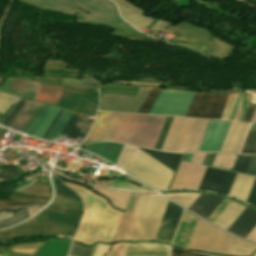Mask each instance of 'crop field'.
<instances>
[{
	"mask_svg": "<svg viewBox=\"0 0 256 256\" xmlns=\"http://www.w3.org/2000/svg\"><path fill=\"white\" fill-rule=\"evenodd\" d=\"M249 125L232 122L220 151L238 153Z\"/></svg>",
	"mask_w": 256,
	"mask_h": 256,
	"instance_id": "obj_14",
	"label": "crop field"
},
{
	"mask_svg": "<svg viewBox=\"0 0 256 256\" xmlns=\"http://www.w3.org/2000/svg\"><path fill=\"white\" fill-rule=\"evenodd\" d=\"M250 130H255L256 131V125L252 124Z\"/></svg>",
	"mask_w": 256,
	"mask_h": 256,
	"instance_id": "obj_61",
	"label": "crop field"
},
{
	"mask_svg": "<svg viewBox=\"0 0 256 256\" xmlns=\"http://www.w3.org/2000/svg\"><path fill=\"white\" fill-rule=\"evenodd\" d=\"M75 189L85 202V212L74 239L86 244L112 242L122 217V212L111 209L107 201L76 184L63 182Z\"/></svg>",
	"mask_w": 256,
	"mask_h": 256,
	"instance_id": "obj_2",
	"label": "crop field"
},
{
	"mask_svg": "<svg viewBox=\"0 0 256 256\" xmlns=\"http://www.w3.org/2000/svg\"><path fill=\"white\" fill-rule=\"evenodd\" d=\"M38 105V102L27 100L19 114L12 122L10 128L22 132Z\"/></svg>",
	"mask_w": 256,
	"mask_h": 256,
	"instance_id": "obj_20",
	"label": "crop field"
},
{
	"mask_svg": "<svg viewBox=\"0 0 256 256\" xmlns=\"http://www.w3.org/2000/svg\"><path fill=\"white\" fill-rule=\"evenodd\" d=\"M141 149V148H140ZM144 152L148 153L164 165L168 166L172 170H175L178 161L182 154H174V153H168V152H161V151H154V150H148V149H141Z\"/></svg>",
	"mask_w": 256,
	"mask_h": 256,
	"instance_id": "obj_22",
	"label": "crop field"
},
{
	"mask_svg": "<svg viewBox=\"0 0 256 256\" xmlns=\"http://www.w3.org/2000/svg\"><path fill=\"white\" fill-rule=\"evenodd\" d=\"M246 202L256 207V179Z\"/></svg>",
	"mask_w": 256,
	"mask_h": 256,
	"instance_id": "obj_44",
	"label": "crop field"
},
{
	"mask_svg": "<svg viewBox=\"0 0 256 256\" xmlns=\"http://www.w3.org/2000/svg\"><path fill=\"white\" fill-rule=\"evenodd\" d=\"M228 95L195 93L184 116L220 119Z\"/></svg>",
	"mask_w": 256,
	"mask_h": 256,
	"instance_id": "obj_5",
	"label": "crop field"
},
{
	"mask_svg": "<svg viewBox=\"0 0 256 256\" xmlns=\"http://www.w3.org/2000/svg\"><path fill=\"white\" fill-rule=\"evenodd\" d=\"M186 155H187V154H184V156H183V159H182V160H185Z\"/></svg>",
	"mask_w": 256,
	"mask_h": 256,
	"instance_id": "obj_63",
	"label": "crop field"
},
{
	"mask_svg": "<svg viewBox=\"0 0 256 256\" xmlns=\"http://www.w3.org/2000/svg\"><path fill=\"white\" fill-rule=\"evenodd\" d=\"M224 172L208 167L198 189L216 192Z\"/></svg>",
	"mask_w": 256,
	"mask_h": 256,
	"instance_id": "obj_19",
	"label": "crop field"
},
{
	"mask_svg": "<svg viewBox=\"0 0 256 256\" xmlns=\"http://www.w3.org/2000/svg\"><path fill=\"white\" fill-rule=\"evenodd\" d=\"M167 22H164V21H161V20H158L155 24H154V26L151 28V30H155L156 28H158V29H163L164 27H166L167 26Z\"/></svg>",
	"mask_w": 256,
	"mask_h": 256,
	"instance_id": "obj_51",
	"label": "crop field"
},
{
	"mask_svg": "<svg viewBox=\"0 0 256 256\" xmlns=\"http://www.w3.org/2000/svg\"><path fill=\"white\" fill-rule=\"evenodd\" d=\"M21 174L22 173L16 167L0 170V180L12 179Z\"/></svg>",
	"mask_w": 256,
	"mask_h": 256,
	"instance_id": "obj_42",
	"label": "crop field"
},
{
	"mask_svg": "<svg viewBox=\"0 0 256 256\" xmlns=\"http://www.w3.org/2000/svg\"><path fill=\"white\" fill-rule=\"evenodd\" d=\"M246 239L256 243V227L253 229V231L248 235Z\"/></svg>",
	"mask_w": 256,
	"mask_h": 256,
	"instance_id": "obj_53",
	"label": "crop field"
},
{
	"mask_svg": "<svg viewBox=\"0 0 256 256\" xmlns=\"http://www.w3.org/2000/svg\"><path fill=\"white\" fill-rule=\"evenodd\" d=\"M209 155H210V154H207V155H206V157H205V159H204V161H203V163H202V164H204V165L206 164V162H207V159H208Z\"/></svg>",
	"mask_w": 256,
	"mask_h": 256,
	"instance_id": "obj_60",
	"label": "crop field"
},
{
	"mask_svg": "<svg viewBox=\"0 0 256 256\" xmlns=\"http://www.w3.org/2000/svg\"><path fill=\"white\" fill-rule=\"evenodd\" d=\"M193 154H188L185 161L190 162Z\"/></svg>",
	"mask_w": 256,
	"mask_h": 256,
	"instance_id": "obj_59",
	"label": "crop field"
},
{
	"mask_svg": "<svg viewBox=\"0 0 256 256\" xmlns=\"http://www.w3.org/2000/svg\"><path fill=\"white\" fill-rule=\"evenodd\" d=\"M80 216L75 202L55 197L54 202L31 220L0 231V240L38 236H70Z\"/></svg>",
	"mask_w": 256,
	"mask_h": 256,
	"instance_id": "obj_1",
	"label": "crop field"
},
{
	"mask_svg": "<svg viewBox=\"0 0 256 256\" xmlns=\"http://www.w3.org/2000/svg\"><path fill=\"white\" fill-rule=\"evenodd\" d=\"M79 116H80V113L77 114L74 112V114L72 115L71 119L69 120V122L67 123L66 127L64 128L61 134L67 135V133L69 132V130L71 129L73 124L76 122Z\"/></svg>",
	"mask_w": 256,
	"mask_h": 256,
	"instance_id": "obj_45",
	"label": "crop field"
},
{
	"mask_svg": "<svg viewBox=\"0 0 256 256\" xmlns=\"http://www.w3.org/2000/svg\"><path fill=\"white\" fill-rule=\"evenodd\" d=\"M215 155H216V154H211V155H210L209 160H208V162H207L206 165H209V166L212 165Z\"/></svg>",
	"mask_w": 256,
	"mask_h": 256,
	"instance_id": "obj_58",
	"label": "crop field"
},
{
	"mask_svg": "<svg viewBox=\"0 0 256 256\" xmlns=\"http://www.w3.org/2000/svg\"><path fill=\"white\" fill-rule=\"evenodd\" d=\"M111 187H115V188H125V189H135V190H145V189H142L140 187H137L133 184H130V183H126V182H122L120 181L119 184H115L113 183ZM147 191V190H146Z\"/></svg>",
	"mask_w": 256,
	"mask_h": 256,
	"instance_id": "obj_43",
	"label": "crop field"
},
{
	"mask_svg": "<svg viewBox=\"0 0 256 256\" xmlns=\"http://www.w3.org/2000/svg\"><path fill=\"white\" fill-rule=\"evenodd\" d=\"M17 192H23V193H29V194H35V195H41V196H47V197L50 196V189L38 179H36L35 182L31 184L29 187L19 190Z\"/></svg>",
	"mask_w": 256,
	"mask_h": 256,
	"instance_id": "obj_28",
	"label": "crop field"
},
{
	"mask_svg": "<svg viewBox=\"0 0 256 256\" xmlns=\"http://www.w3.org/2000/svg\"><path fill=\"white\" fill-rule=\"evenodd\" d=\"M255 226L256 212L246 208L227 231L245 239Z\"/></svg>",
	"mask_w": 256,
	"mask_h": 256,
	"instance_id": "obj_15",
	"label": "crop field"
},
{
	"mask_svg": "<svg viewBox=\"0 0 256 256\" xmlns=\"http://www.w3.org/2000/svg\"><path fill=\"white\" fill-rule=\"evenodd\" d=\"M173 200H175L180 205L190 208L191 205L197 200L200 196L199 194H164Z\"/></svg>",
	"mask_w": 256,
	"mask_h": 256,
	"instance_id": "obj_29",
	"label": "crop field"
},
{
	"mask_svg": "<svg viewBox=\"0 0 256 256\" xmlns=\"http://www.w3.org/2000/svg\"><path fill=\"white\" fill-rule=\"evenodd\" d=\"M209 121L191 119L177 152L197 151Z\"/></svg>",
	"mask_w": 256,
	"mask_h": 256,
	"instance_id": "obj_9",
	"label": "crop field"
},
{
	"mask_svg": "<svg viewBox=\"0 0 256 256\" xmlns=\"http://www.w3.org/2000/svg\"><path fill=\"white\" fill-rule=\"evenodd\" d=\"M166 117L111 112L100 140L153 148Z\"/></svg>",
	"mask_w": 256,
	"mask_h": 256,
	"instance_id": "obj_3",
	"label": "crop field"
},
{
	"mask_svg": "<svg viewBox=\"0 0 256 256\" xmlns=\"http://www.w3.org/2000/svg\"><path fill=\"white\" fill-rule=\"evenodd\" d=\"M36 250H13V252L17 253H25V254H33Z\"/></svg>",
	"mask_w": 256,
	"mask_h": 256,
	"instance_id": "obj_56",
	"label": "crop field"
},
{
	"mask_svg": "<svg viewBox=\"0 0 256 256\" xmlns=\"http://www.w3.org/2000/svg\"><path fill=\"white\" fill-rule=\"evenodd\" d=\"M250 98H251V97H249V96H246V98H245V102H244V106H243L244 114H245V111H246V109H247V107H248V105H249ZM244 114H243V116H244ZM243 116H242V118H243ZM242 118H241V120H242ZM241 120H240V121H241ZM242 121H243V120H242Z\"/></svg>",
	"mask_w": 256,
	"mask_h": 256,
	"instance_id": "obj_55",
	"label": "crop field"
},
{
	"mask_svg": "<svg viewBox=\"0 0 256 256\" xmlns=\"http://www.w3.org/2000/svg\"><path fill=\"white\" fill-rule=\"evenodd\" d=\"M110 112H100L97 121L86 141L99 139Z\"/></svg>",
	"mask_w": 256,
	"mask_h": 256,
	"instance_id": "obj_27",
	"label": "crop field"
},
{
	"mask_svg": "<svg viewBox=\"0 0 256 256\" xmlns=\"http://www.w3.org/2000/svg\"><path fill=\"white\" fill-rule=\"evenodd\" d=\"M0 251H1V256H32V255L11 253L12 251L11 249L4 248V247H0Z\"/></svg>",
	"mask_w": 256,
	"mask_h": 256,
	"instance_id": "obj_49",
	"label": "crop field"
},
{
	"mask_svg": "<svg viewBox=\"0 0 256 256\" xmlns=\"http://www.w3.org/2000/svg\"><path fill=\"white\" fill-rule=\"evenodd\" d=\"M109 197L114 206L124 209L130 194L115 193L109 191L97 190Z\"/></svg>",
	"mask_w": 256,
	"mask_h": 256,
	"instance_id": "obj_30",
	"label": "crop field"
},
{
	"mask_svg": "<svg viewBox=\"0 0 256 256\" xmlns=\"http://www.w3.org/2000/svg\"><path fill=\"white\" fill-rule=\"evenodd\" d=\"M233 236L197 219L187 249L227 255Z\"/></svg>",
	"mask_w": 256,
	"mask_h": 256,
	"instance_id": "obj_4",
	"label": "crop field"
},
{
	"mask_svg": "<svg viewBox=\"0 0 256 256\" xmlns=\"http://www.w3.org/2000/svg\"><path fill=\"white\" fill-rule=\"evenodd\" d=\"M58 111H59V108L52 106V108L48 112L47 116L45 117V119L43 120L41 125L39 126L38 130L34 134L35 137L42 138V136L44 135L45 131L49 127L50 123L52 122V120L54 119V117L56 116Z\"/></svg>",
	"mask_w": 256,
	"mask_h": 256,
	"instance_id": "obj_32",
	"label": "crop field"
},
{
	"mask_svg": "<svg viewBox=\"0 0 256 256\" xmlns=\"http://www.w3.org/2000/svg\"><path fill=\"white\" fill-rule=\"evenodd\" d=\"M172 256H202V255L186 252L173 247Z\"/></svg>",
	"mask_w": 256,
	"mask_h": 256,
	"instance_id": "obj_47",
	"label": "crop field"
},
{
	"mask_svg": "<svg viewBox=\"0 0 256 256\" xmlns=\"http://www.w3.org/2000/svg\"><path fill=\"white\" fill-rule=\"evenodd\" d=\"M206 168L182 162L170 189H197Z\"/></svg>",
	"mask_w": 256,
	"mask_h": 256,
	"instance_id": "obj_8",
	"label": "crop field"
},
{
	"mask_svg": "<svg viewBox=\"0 0 256 256\" xmlns=\"http://www.w3.org/2000/svg\"><path fill=\"white\" fill-rule=\"evenodd\" d=\"M251 157L252 156L238 155L231 171L245 174L248 168L249 162L251 160Z\"/></svg>",
	"mask_w": 256,
	"mask_h": 256,
	"instance_id": "obj_34",
	"label": "crop field"
},
{
	"mask_svg": "<svg viewBox=\"0 0 256 256\" xmlns=\"http://www.w3.org/2000/svg\"><path fill=\"white\" fill-rule=\"evenodd\" d=\"M246 174L256 176V156L252 157V160L250 162V165Z\"/></svg>",
	"mask_w": 256,
	"mask_h": 256,
	"instance_id": "obj_48",
	"label": "crop field"
},
{
	"mask_svg": "<svg viewBox=\"0 0 256 256\" xmlns=\"http://www.w3.org/2000/svg\"><path fill=\"white\" fill-rule=\"evenodd\" d=\"M230 123L211 120L198 151H219Z\"/></svg>",
	"mask_w": 256,
	"mask_h": 256,
	"instance_id": "obj_11",
	"label": "crop field"
},
{
	"mask_svg": "<svg viewBox=\"0 0 256 256\" xmlns=\"http://www.w3.org/2000/svg\"><path fill=\"white\" fill-rule=\"evenodd\" d=\"M183 209L168 201L163 219L161 221L155 240L172 242Z\"/></svg>",
	"mask_w": 256,
	"mask_h": 256,
	"instance_id": "obj_10",
	"label": "crop field"
},
{
	"mask_svg": "<svg viewBox=\"0 0 256 256\" xmlns=\"http://www.w3.org/2000/svg\"><path fill=\"white\" fill-rule=\"evenodd\" d=\"M87 117H88L87 115L81 114V116L79 117L78 121L72 128L67 138H70L76 141L78 137L83 138L85 136V134L88 132L93 121V120L87 119Z\"/></svg>",
	"mask_w": 256,
	"mask_h": 256,
	"instance_id": "obj_24",
	"label": "crop field"
},
{
	"mask_svg": "<svg viewBox=\"0 0 256 256\" xmlns=\"http://www.w3.org/2000/svg\"><path fill=\"white\" fill-rule=\"evenodd\" d=\"M221 200L222 198L201 195L189 210L206 219Z\"/></svg>",
	"mask_w": 256,
	"mask_h": 256,
	"instance_id": "obj_17",
	"label": "crop field"
},
{
	"mask_svg": "<svg viewBox=\"0 0 256 256\" xmlns=\"http://www.w3.org/2000/svg\"><path fill=\"white\" fill-rule=\"evenodd\" d=\"M240 153H256V132H249Z\"/></svg>",
	"mask_w": 256,
	"mask_h": 256,
	"instance_id": "obj_36",
	"label": "crop field"
},
{
	"mask_svg": "<svg viewBox=\"0 0 256 256\" xmlns=\"http://www.w3.org/2000/svg\"><path fill=\"white\" fill-rule=\"evenodd\" d=\"M93 248L81 247L76 243H73L70 256H91Z\"/></svg>",
	"mask_w": 256,
	"mask_h": 256,
	"instance_id": "obj_39",
	"label": "crop field"
},
{
	"mask_svg": "<svg viewBox=\"0 0 256 256\" xmlns=\"http://www.w3.org/2000/svg\"><path fill=\"white\" fill-rule=\"evenodd\" d=\"M241 95H242V94H239V95H238V98H237V100H236L235 106H234V108H233V111H232V114H231L229 120H232V119H233V116H234V114H235V111H236V108H237V106H238V103H239V100H240V98H241Z\"/></svg>",
	"mask_w": 256,
	"mask_h": 256,
	"instance_id": "obj_54",
	"label": "crop field"
},
{
	"mask_svg": "<svg viewBox=\"0 0 256 256\" xmlns=\"http://www.w3.org/2000/svg\"><path fill=\"white\" fill-rule=\"evenodd\" d=\"M10 199H16L23 202L11 201V200H0V208L5 207H23L31 204H46L48 199L32 197L20 194H12Z\"/></svg>",
	"mask_w": 256,
	"mask_h": 256,
	"instance_id": "obj_21",
	"label": "crop field"
},
{
	"mask_svg": "<svg viewBox=\"0 0 256 256\" xmlns=\"http://www.w3.org/2000/svg\"><path fill=\"white\" fill-rule=\"evenodd\" d=\"M148 195H140L124 240H132Z\"/></svg>",
	"mask_w": 256,
	"mask_h": 256,
	"instance_id": "obj_23",
	"label": "crop field"
},
{
	"mask_svg": "<svg viewBox=\"0 0 256 256\" xmlns=\"http://www.w3.org/2000/svg\"><path fill=\"white\" fill-rule=\"evenodd\" d=\"M81 85L97 87L98 83L93 79H82Z\"/></svg>",
	"mask_w": 256,
	"mask_h": 256,
	"instance_id": "obj_52",
	"label": "crop field"
},
{
	"mask_svg": "<svg viewBox=\"0 0 256 256\" xmlns=\"http://www.w3.org/2000/svg\"><path fill=\"white\" fill-rule=\"evenodd\" d=\"M26 102V99L21 98L19 102L13 107V109L8 113V115L2 120L0 124L5 125L9 127L17 113L20 111L24 103ZM11 126V125H10Z\"/></svg>",
	"mask_w": 256,
	"mask_h": 256,
	"instance_id": "obj_37",
	"label": "crop field"
},
{
	"mask_svg": "<svg viewBox=\"0 0 256 256\" xmlns=\"http://www.w3.org/2000/svg\"><path fill=\"white\" fill-rule=\"evenodd\" d=\"M255 109H256V106L255 105H249V107H248V109H247V111H246V114H245V116H244V118H243V121L244 122H248V123H250V121H251V119H252V116H253V114H254V112H255Z\"/></svg>",
	"mask_w": 256,
	"mask_h": 256,
	"instance_id": "obj_46",
	"label": "crop field"
},
{
	"mask_svg": "<svg viewBox=\"0 0 256 256\" xmlns=\"http://www.w3.org/2000/svg\"><path fill=\"white\" fill-rule=\"evenodd\" d=\"M256 247L234 238L229 254L237 256H250Z\"/></svg>",
	"mask_w": 256,
	"mask_h": 256,
	"instance_id": "obj_25",
	"label": "crop field"
},
{
	"mask_svg": "<svg viewBox=\"0 0 256 256\" xmlns=\"http://www.w3.org/2000/svg\"><path fill=\"white\" fill-rule=\"evenodd\" d=\"M244 209L245 207L231 202L213 224L227 230Z\"/></svg>",
	"mask_w": 256,
	"mask_h": 256,
	"instance_id": "obj_18",
	"label": "crop field"
},
{
	"mask_svg": "<svg viewBox=\"0 0 256 256\" xmlns=\"http://www.w3.org/2000/svg\"><path fill=\"white\" fill-rule=\"evenodd\" d=\"M72 114H73L72 111H68V110L64 109V111L62 112L59 119L57 120V122L55 123L53 128L51 129V131L48 134V136L46 137V139L50 140L52 137L58 138V136L60 135L59 134L60 131L62 130L64 125L67 123V121L69 120V118L71 117Z\"/></svg>",
	"mask_w": 256,
	"mask_h": 256,
	"instance_id": "obj_26",
	"label": "crop field"
},
{
	"mask_svg": "<svg viewBox=\"0 0 256 256\" xmlns=\"http://www.w3.org/2000/svg\"><path fill=\"white\" fill-rule=\"evenodd\" d=\"M205 155L206 154H194L191 162L201 164Z\"/></svg>",
	"mask_w": 256,
	"mask_h": 256,
	"instance_id": "obj_50",
	"label": "crop field"
},
{
	"mask_svg": "<svg viewBox=\"0 0 256 256\" xmlns=\"http://www.w3.org/2000/svg\"><path fill=\"white\" fill-rule=\"evenodd\" d=\"M28 217H29V215H28L27 209L25 208L22 211H20V213L16 216L1 219L0 220V228L18 223Z\"/></svg>",
	"mask_w": 256,
	"mask_h": 256,
	"instance_id": "obj_35",
	"label": "crop field"
},
{
	"mask_svg": "<svg viewBox=\"0 0 256 256\" xmlns=\"http://www.w3.org/2000/svg\"><path fill=\"white\" fill-rule=\"evenodd\" d=\"M149 88L140 87L136 97L104 94L100 110L137 113Z\"/></svg>",
	"mask_w": 256,
	"mask_h": 256,
	"instance_id": "obj_7",
	"label": "crop field"
},
{
	"mask_svg": "<svg viewBox=\"0 0 256 256\" xmlns=\"http://www.w3.org/2000/svg\"><path fill=\"white\" fill-rule=\"evenodd\" d=\"M169 249L170 246L164 243H126L123 256H169Z\"/></svg>",
	"mask_w": 256,
	"mask_h": 256,
	"instance_id": "obj_12",
	"label": "crop field"
},
{
	"mask_svg": "<svg viewBox=\"0 0 256 256\" xmlns=\"http://www.w3.org/2000/svg\"><path fill=\"white\" fill-rule=\"evenodd\" d=\"M63 111V109H61V111L59 112V114L57 115V117L55 118V120L53 121V123L51 124V126L49 127V129L47 130V132L45 133V135L43 136V139H45V137L47 136V134L49 133L50 129L52 128V126L54 125V123L56 122V120L58 119L59 115L61 114V112Z\"/></svg>",
	"mask_w": 256,
	"mask_h": 256,
	"instance_id": "obj_57",
	"label": "crop field"
},
{
	"mask_svg": "<svg viewBox=\"0 0 256 256\" xmlns=\"http://www.w3.org/2000/svg\"><path fill=\"white\" fill-rule=\"evenodd\" d=\"M55 196L80 202L78 197L72 191L62 185H59Z\"/></svg>",
	"mask_w": 256,
	"mask_h": 256,
	"instance_id": "obj_40",
	"label": "crop field"
},
{
	"mask_svg": "<svg viewBox=\"0 0 256 256\" xmlns=\"http://www.w3.org/2000/svg\"><path fill=\"white\" fill-rule=\"evenodd\" d=\"M252 123L256 124V117L254 118V120H253V122H252Z\"/></svg>",
	"mask_w": 256,
	"mask_h": 256,
	"instance_id": "obj_62",
	"label": "crop field"
},
{
	"mask_svg": "<svg viewBox=\"0 0 256 256\" xmlns=\"http://www.w3.org/2000/svg\"><path fill=\"white\" fill-rule=\"evenodd\" d=\"M236 175L237 174H235V173H231V172L226 171L217 192L227 195L231 186H232V183H233Z\"/></svg>",
	"mask_w": 256,
	"mask_h": 256,
	"instance_id": "obj_33",
	"label": "crop field"
},
{
	"mask_svg": "<svg viewBox=\"0 0 256 256\" xmlns=\"http://www.w3.org/2000/svg\"><path fill=\"white\" fill-rule=\"evenodd\" d=\"M173 117H167L154 148L160 149Z\"/></svg>",
	"mask_w": 256,
	"mask_h": 256,
	"instance_id": "obj_41",
	"label": "crop field"
},
{
	"mask_svg": "<svg viewBox=\"0 0 256 256\" xmlns=\"http://www.w3.org/2000/svg\"><path fill=\"white\" fill-rule=\"evenodd\" d=\"M118 5L121 16L130 24L141 30L146 28L153 20L141 16L144 12L138 10L125 0H113Z\"/></svg>",
	"mask_w": 256,
	"mask_h": 256,
	"instance_id": "obj_13",
	"label": "crop field"
},
{
	"mask_svg": "<svg viewBox=\"0 0 256 256\" xmlns=\"http://www.w3.org/2000/svg\"><path fill=\"white\" fill-rule=\"evenodd\" d=\"M161 89L150 88L145 100L143 101L138 113L148 114L150 108L152 107L154 101L159 95Z\"/></svg>",
	"mask_w": 256,
	"mask_h": 256,
	"instance_id": "obj_31",
	"label": "crop field"
},
{
	"mask_svg": "<svg viewBox=\"0 0 256 256\" xmlns=\"http://www.w3.org/2000/svg\"><path fill=\"white\" fill-rule=\"evenodd\" d=\"M123 146L114 143H96L91 144L88 151L116 163Z\"/></svg>",
	"mask_w": 256,
	"mask_h": 256,
	"instance_id": "obj_16",
	"label": "crop field"
},
{
	"mask_svg": "<svg viewBox=\"0 0 256 256\" xmlns=\"http://www.w3.org/2000/svg\"><path fill=\"white\" fill-rule=\"evenodd\" d=\"M193 94L162 89L149 114L183 116Z\"/></svg>",
	"mask_w": 256,
	"mask_h": 256,
	"instance_id": "obj_6",
	"label": "crop field"
},
{
	"mask_svg": "<svg viewBox=\"0 0 256 256\" xmlns=\"http://www.w3.org/2000/svg\"><path fill=\"white\" fill-rule=\"evenodd\" d=\"M50 108H51V105L45 104V106L41 110L40 114L38 115V117L36 118L34 123L32 124L31 128L27 132V135L33 136V134L37 130L38 126L40 125V123L42 122V120L44 119V117L46 116V114H47V112L49 111Z\"/></svg>",
	"mask_w": 256,
	"mask_h": 256,
	"instance_id": "obj_38",
	"label": "crop field"
}]
</instances>
